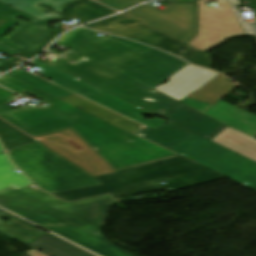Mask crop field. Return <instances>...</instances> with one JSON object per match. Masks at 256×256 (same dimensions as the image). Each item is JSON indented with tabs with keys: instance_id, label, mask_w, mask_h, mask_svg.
I'll list each match as a JSON object with an SVG mask.
<instances>
[{
	"instance_id": "ac0d7876",
	"label": "crop field",
	"mask_w": 256,
	"mask_h": 256,
	"mask_svg": "<svg viewBox=\"0 0 256 256\" xmlns=\"http://www.w3.org/2000/svg\"><path fill=\"white\" fill-rule=\"evenodd\" d=\"M115 200L105 195L65 203L30 186L0 192V206L37 223L102 256H132L112 245L99 231L108 207ZM85 248V249H86Z\"/></svg>"
},
{
	"instance_id": "f4fd0767",
	"label": "crop field",
	"mask_w": 256,
	"mask_h": 256,
	"mask_svg": "<svg viewBox=\"0 0 256 256\" xmlns=\"http://www.w3.org/2000/svg\"><path fill=\"white\" fill-rule=\"evenodd\" d=\"M61 58L50 62H43L53 66L71 76H74L94 87L106 91L114 96L126 100L134 105L146 109L154 114L162 113L172 109L178 102L167 98L159 93H153L150 88L109 69L71 49L62 53ZM85 57L89 60L81 61ZM79 62L77 65L68 61ZM156 99L157 102L146 100Z\"/></svg>"
},
{
	"instance_id": "1d83c4d3",
	"label": "crop field",
	"mask_w": 256,
	"mask_h": 256,
	"mask_svg": "<svg viewBox=\"0 0 256 256\" xmlns=\"http://www.w3.org/2000/svg\"><path fill=\"white\" fill-rule=\"evenodd\" d=\"M61 32H63V30H60V29H55L54 30V34L51 36V38L47 41V43L40 49V51L52 40V39H54L57 35H59ZM39 51V52H40ZM38 52V53H39ZM38 53H34V54H28V55H30V56H35V55H37Z\"/></svg>"
},
{
	"instance_id": "4177f3b9",
	"label": "crop field",
	"mask_w": 256,
	"mask_h": 256,
	"mask_svg": "<svg viewBox=\"0 0 256 256\" xmlns=\"http://www.w3.org/2000/svg\"><path fill=\"white\" fill-rule=\"evenodd\" d=\"M68 13L87 22L115 14L88 0L76 2L68 6Z\"/></svg>"
},
{
	"instance_id": "3316defc",
	"label": "crop field",
	"mask_w": 256,
	"mask_h": 256,
	"mask_svg": "<svg viewBox=\"0 0 256 256\" xmlns=\"http://www.w3.org/2000/svg\"><path fill=\"white\" fill-rule=\"evenodd\" d=\"M205 1H198L199 34L189 45L205 52L227 38L245 35L227 1L216 3L217 8L207 7Z\"/></svg>"
},
{
	"instance_id": "d3111659",
	"label": "crop field",
	"mask_w": 256,
	"mask_h": 256,
	"mask_svg": "<svg viewBox=\"0 0 256 256\" xmlns=\"http://www.w3.org/2000/svg\"><path fill=\"white\" fill-rule=\"evenodd\" d=\"M97 1L121 11L130 7H133L147 0H97Z\"/></svg>"
},
{
	"instance_id": "b80d0937",
	"label": "crop field",
	"mask_w": 256,
	"mask_h": 256,
	"mask_svg": "<svg viewBox=\"0 0 256 256\" xmlns=\"http://www.w3.org/2000/svg\"><path fill=\"white\" fill-rule=\"evenodd\" d=\"M148 100H152V99H148ZM153 101H155V100H153Z\"/></svg>"
},
{
	"instance_id": "5142ce71",
	"label": "crop field",
	"mask_w": 256,
	"mask_h": 256,
	"mask_svg": "<svg viewBox=\"0 0 256 256\" xmlns=\"http://www.w3.org/2000/svg\"><path fill=\"white\" fill-rule=\"evenodd\" d=\"M163 117L211 140L228 126L184 104H178Z\"/></svg>"
},
{
	"instance_id": "a9b5d70f",
	"label": "crop field",
	"mask_w": 256,
	"mask_h": 256,
	"mask_svg": "<svg viewBox=\"0 0 256 256\" xmlns=\"http://www.w3.org/2000/svg\"><path fill=\"white\" fill-rule=\"evenodd\" d=\"M14 170L16 168L5 153L0 154V191L10 186L18 189L32 184L22 173L17 174Z\"/></svg>"
},
{
	"instance_id": "750c4746",
	"label": "crop field",
	"mask_w": 256,
	"mask_h": 256,
	"mask_svg": "<svg viewBox=\"0 0 256 256\" xmlns=\"http://www.w3.org/2000/svg\"><path fill=\"white\" fill-rule=\"evenodd\" d=\"M14 24L15 23L0 16V38L5 35L7 28Z\"/></svg>"
},
{
	"instance_id": "d32e631a",
	"label": "crop field",
	"mask_w": 256,
	"mask_h": 256,
	"mask_svg": "<svg viewBox=\"0 0 256 256\" xmlns=\"http://www.w3.org/2000/svg\"><path fill=\"white\" fill-rule=\"evenodd\" d=\"M26 253H27L29 256H45V255H43V254H41V253H39V252H37V251H35V250L27 251Z\"/></svg>"
},
{
	"instance_id": "c035e120",
	"label": "crop field",
	"mask_w": 256,
	"mask_h": 256,
	"mask_svg": "<svg viewBox=\"0 0 256 256\" xmlns=\"http://www.w3.org/2000/svg\"><path fill=\"white\" fill-rule=\"evenodd\" d=\"M74 64H77V62H75Z\"/></svg>"
},
{
	"instance_id": "e52e79f7",
	"label": "crop field",
	"mask_w": 256,
	"mask_h": 256,
	"mask_svg": "<svg viewBox=\"0 0 256 256\" xmlns=\"http://www.w3.org/2000/svg\"><path fill=\"white\" fill-rule=\"evenodd\" d=\"M171 151L251 190L256 188V162L196 134Z\"/></svg>"
},
{
	"instance_id": "dd49c442",
	"label": "crop field",
	"mask_w": 256,
	"mask_h": 256,
	"mask_svg": "<svg viewBox=\"0 0 256 256\" xmlns=\"http://www.w3.org/2000/svg\"><path fill=\"white\" fill-rule=\"evenodd\" d=\"M8 154L20 170L50 193L100 184L38 143L8 151Z\"/></svg>"
},
{
	"instance_id": "22f410ed",
	"label": "crop field",
	"mask_w": 256,
	"mask_h": 256,
	"mask_svg": "<svg viewBox=\"0 0 256 256\" xmlns=\"http://www.w3.org/2000/svg\"><path fill=\"white\" fill-rule=\"evenodd\" d=\"M0 15L20 25L15 27L11 33L0 39L3 43L19 52L35 51L49 36L50 31L47 23L18 11L0 2ZM18 15L31 22L22 21L15 16Z\"/></svg>"
},
{
	"instance_id": "0bd39190",
	"label": "crop field",
	"mask_w": 256,
	"mask_h": 256,
	"mask_svg": "<svg viewBox=\"0 0 256 256\" xmlns=\"http://www.w3.org/2000/svg\"><path fill=\"white\" fill-rule=\"evenodd\" d=\"M81 60H87V59H85V58H82Z\"/></svg>"
},
{
	"instance_id": "92a150f3",
	"label": "crop field",
	"mask_w": 256,
	"mask_h": 256,
	"mask_svg": "<svg viewBox=\"0 0 256 256\" xmlns=\"http://www.w3.org/2000/svg\"><path fill=\"white\" fill-rule=\"evenodd\" d=\"M6 216L11 221L5 223L1 221V217ZM0 231L14 237L24 243H30L45 232L33 227L32 225L14 218L12 215L0 210Z\"/></svg>"
},
{
	"instance_id": "03da06ac",
	"label": "crop field",
	"mask_w": 256,
	"mask_h": 256,
	"mask_svg": "<svg viewBox=\"0 0 256 256\" xmlns=\"http://www.w3.org/2000/svg\"><path fill=\"white\" fill-rule=\"evenodd\" d=\"M254 190H256V189H254Z\"/></svg>"
},
{
	"instance_id": "d9b57169",
	"label": "crop field",
	"mask_w": 256,
	"mask_h": 256,
	"mask_svg": "<svg viewBox=\"0 0 256 256\" xmlns=\"http://www.w3.org/2000/svg\"><path fill=\"white\" fill-rule=\"evenodd\" d=\"M76 108H79L95 117L106 120L130 133L143 127L142 125L127 119L121 115H118L110 110H107L101 106H98L88 100H85L77 95L70 96L64 99H60Z\"/></svg>"
},
{
	"instance_id": "730fd06b",
	"label": "crop field",
	"mask_w": 256,
	"mask_h": 256,
	"mask_svg": "<svg viewBox=\"0 0 256 256\" xmlns=\"http://www.w3.org/2000/svg\"><path fill=\"white\" fill-rule=\"evenodd\" d=\"M0 139L6 150L35 142L25 134L0 120Z\"/></svg>"
},
{
	"instance_id": "120bbe31",
	"label": "crop field",
	"mask_w": 256,
	"mask_h": 256,
	"mask_svg": "<svg viewBox=\"0 0 256 256\" xmlns=\"http://www.w3.org/2000/svg\"><path fill=\"white\" fill-rule=\"evenodd\" d=\"M25 61H26V60H24V59H22V58H17L16 61H15L11 66H9V67H7V68L1 70L0 72L4 73V72H6L7 70H9V69H11V68H13V67H15V66H17V65H19V64H21V63H23V62H25Z\"/></svg>"
},
{
	"instance_id": "c21b1889",
	"label": "crop field",
	"mask_w": 256,
	"mask_h": 256,
	"mask_svg": "<svg viewBox=\"0 0 256 256\" xmlns=\"http://www.w3.org/2000/svg\"><path fill=\"white\" fill-rule=\"evenodd\" d=\"M153 92H156V91H154V90H152Z\"/></svg>"
},
{
	"instance_id": "b54c1fbb",
	"label": "crop field",
	"mask_w": 256,
	"mask_h": 256,
	"mask_svg": "<svg viewBox=\"0 0 256 256\" xmlns=\"http://www.w3.org/2000/svg\"><path fill=\"white\" fill-rule=\"evenodd\" d=\"M0 74H2V73H0Z\"/></svg>"
},
{
	"instance_id": "dafd665d",
	"label": "crop field",
	"mask_w": 256,
	"mask_h": 256,
	"mask_svg": "<svg viewBox=\"0 0 256 256\" xmlns=\"http://www.w3.org/2000/svg\"><path fill=\"white\" fill-rule=\"evenodd\" d=\"M226 77L219 75L196 93H192L188 98L200 100L214 104L230 93L237 84L225 80Z\"/></svg>"
},
{
	"instance_id": "00972430",
	"label": "crop field",
	"mask_w": 256,
	"mask_h": 256,
	"mask_svg": "<svg viewBox=\"0 0 256 256\" xmlns=\"http://www.w3.org/2000/svg\"><path fill=\"white\" fill-rule=\"evenodd\" d=\"M7 75L19 80V81H22L34 88H37L49 95H52L58 99L60 98H64V97H67V96H70V95H74L42 78H39L37 76H34L32 74H30L29 72L21 69V68H18L10 73H8Z\"/></svg>"
},
{
	"instance_id": "5d738f31",
	"label": "crop field",
	"mask_w": 256,
	"mask_h": 256,
	"mask_svg": "<svg viewBox=\"0 0 256 256\" xmlns=\"http://www.w3.org/2000/svg\"><path fill=\"white\" fill-rule=\"evenodd\" d=\"M256 138V137H255Z\"/></svg>"
},
{
	"instance_id": "28ad6ade",
	"label": "crop field",
	"mask_w": 256,
	"mask_h": 256,
	"mask_svg": "<svg viewBox=\"0 0 256 256\" xmlns=\"http://www.w3.org/2000/svg\"><path fill=\"white\" fill-rule=\"evenodd\" d=\"M94 177L115 170L91 149L71 128L34 137Z\"/></svg>"
},
{
	"instance_id": "e1f06a70",
	"label": "crop field",
	"mask_w": 256,
	"mask_h": 256,
	"mask_svg": "<svg viewBox=\"0 0 256 256\" xmlns=\"http://www.w3.org/2000/svg\"><path fill=\"white\" fill-rule=\"evenodd\" d=\"M0 152H3V149L1 148V146H0Z\"/></svg>"
},
{
	"instance_id": "412701ff",
	"label": "crop field",
	"mask_w": 256,
	"mask_h": 256,
	"mask_svg": "<svg viewBox=\"0 0 256 256\" xmlns=\"http://www.w3.org/2000/svg\"><path fill=\"white\" fill-rule=\"evenodd\" d=\"M224 178L182 157L97 177L99 186L55 193L66 201L111 193L117 200L122 196L143 193L160 188L179 189ZM160 182L166 184L161 185Z\"/></svg>"
},
{
	"instance_id": "bd1437ed",
	"label": "crop field",
	"mask_w": 256,
	"mask_h": 256,
	"mask_svg": "<svg viewBox=\"0 0 256 256\" xmlns=\"http://www.w3.org/2000/svg\"><path fill=\"white\" fill-rule=\"evenodd\" d=\"M0 52L6 53V54H9V55H13V54L19 53V52L15 51V50H13V49L3 45V44H0ZM3 66H5V64L2 63V59H0V67H3Z\"/></svg>"
},
{
	"instance_id": "8a807250",
	"label": "crop field",
	"mask_w": 256,
	"mask_h": 256,
	"mask_svg": "<svg viewBox=\"0 0 256 256\" xmlns=\"http://www.w3.org/2000/svg\"><path fill=\"white\" fill-rule=\"evenodd\" d=\"M0 85L50 104L15 110L7 105L15 101V94L0 87V117L31 137L71 127L91 148L97 147L95 151L116 171L177 156L7 75L0 78Z\"/></svg>"
},
{
	"instance_id": "bc2a9ffb",
	"label": "crop field",
	"mask_w": 256,
	"mask_h": 256,
	"mask_svg": "<svg viewBox=\"0 0 256 256\" xmlns=\"http://www.w3.org/2000/svg\"><path fill=\"white\" fill-rule=\"evenodd\" d=\"M212 141L256 161L255 138H251L228 127L218 136L212 139Z\"/></svg>"
},
{
	"instance_id": "d8731c3e",
	"label": "crop field",
	"mask_w": 256,
	"mask_h": 256,
	"mask_svg": "<svg viewBox=\"0 0 256 256\" xmlns=\"http://www.w3.org/2000/svg\"><path fill=\"white\" fill-rule=\"evenodd\" d=\"M168 3L171 7L164 12L143 5L121 15L187 43L196 35L195 5L170 1Z\"/></svg>"
},
{
	"instance_id": "028f5c9d",
	"label": "crop field",
	"mask_w": 256,
	"mask_h": 256,
	"mask_svg": "<svg viewBox=\"0 0 256 256\" xmlns=\"http://www.w3.org/2000/svg\"><path fill=\"white\" fill-rule=\"evenodd\" d=\"M91 1V0H90ZM93 2V1H92ZM95 3V2H94ZM97 4V3H96ZM99 5V4H98ZM101 6V5H100ZM108 9V8H107ZM109 10H111V9H109ZM111 11H113V10H111ZM113 12H115L116 13V11H113Z\"/></svg>"
},
{
	"instance_id": "733c2abd",
	"label": "crop field",
	"mask_w": 256,
	"mask_h": 256,
	"mask_svg": "<svg viewBox=\"0 0 256 256\" xmlns=\"http://www.w3.org/2000/svg\"><path fill=\"white\" fill-rule=\"evenodd\" d=\"M135 134H144L143 138L171 150L193 133L168 121L155 130L146 127Z\"/></svg>"
},
{
	"instance_id": "5a996713",
	"label": "crop field",
	"mask_w": 256,
	"mask_h": 256,
	"mask_svg": "<svg viewBox=\"0 0 256 256\" xmlns=\"http://www.w3.org/2000/svg\"><path fill=\"white\" fill-rule=\"evenodd\" d=\"M33 65L41 68L44 72V77L51 78L55 81V84H58L64 88H67L73 92H76L112 111H115L119 114H122L128 118H131L135 121H138L148 127L153 129L159 127L163 123L167 122L161 118L150 119L148 121L142 120V113L146 112L148 114L154 115L146 110H143L137 106H134L126 101H123L117 97H114L106 92H103L97 88H94L76 78H73L53 67L45 65L38 60H33ZM146 117V116H145ZM148 118V117H147Z\"/></svg>"
},
{
	"instance_id": "4a817a6b",
	"label": "crop field",
	"mask_w": 256,
	"mask_h": 256,
	"mask_svg": "<svg viewBox=\"0 0 256 256\" xmlns=\"http://www.w3.org/2000/svg\"><path fill=\"white\" fill-rule=\"evenodd\" d=\"M0 1L47 22V21L63 18L62 16L56 13L59 12L63 14L62 12L63 5L75 0H0ZM38 4L46 5L52 8L55 12H51L39 6ZM41 10H45L49 12L44 13Z\"/></svg>"
},
{
	"instance_id": "cbeb9de0",
	"label": "crop field",
	"mask_w": 256,
	"mask_h": 256,
	"mask_svg": "<svg viewBox=\"0 0 256 256\" xmlns=\"http://www.w3.org/2000/svg\"><path fill=\"white\" fill-rule=\"evenodd\" d=\"M181 102L247 135L253 137L256 134V116L224 100H219L214 105L188 98Z\"/></svg>"
},
{
	"instance_id": "eef30255",
	"label": "crop field",
	"mask_w": 256,
	"mask_h": 256,
	"mask_svg": "<svg viewBox=\"0 0 256 256\" xmlns=\"http://www.w3.org/2000/svg\"><path fill=\"white\" fill-rule=\"evenodd\" d=\"M230 7L232 8L233 12L235 13L236 17L238 18L240 24L242 25L245 33L247 36L255 35L256 36V22L254 23H247L245 21V18L241 14L240 11H238L237 5L240 3L239 0H227Z\"/></svg>"
},
{
	"instance_id": "ae1a2a85",
	"label": "crop field",
	"mask_w": 256,
	"mask_h": 256,
	"mask_svg": "<svg viewBox=\"0 0 256 256\" xmlns=\"http://www.w3.org/2000/svg\"><path fill=\"white\" fill-rule=\"evenodd\" d=\"M184 60L199 66L209 68V69L212 66L209 55L193 48H191L188 56Z\"/></svg>"
},
{
	"instance_id": "d1516ede",
	"label": "crop field",
	"mask_w": 256,
	"mask_h": 256,
	"mask_svg": "<svg viewBox=\"0 0 256 256\" xmlns=\"http://www.w3.org/2000/svg\"><path fill=\"white\" fill-rule=\"evenodd\" d=\"M88 27L130 38L173 53L181 58L184 55L178 53V51L189 47L185 43L179 42L121 15L98 21L88 25Z\"/></svg>"
},
{
	"instance_id": "214f88e0",
	"label": "crop field",
	"mask_w": 256,
	"mask_h": 256,
	"mask_svg": "<svg viewBox=\"0 0 256 256\" xmlns=\"http://www.w3.org/2000/svg\"><path fill=\"white\" fill-rule=\"evenodd\" d=\"M30 246L50 256H95L50 233Z\"/></svg>"
},
{
	"instance_id": "5866460e",
	"label": "crop field",
	"mask_w": 256,
	"mask_h": 256,
	"mask_svg": "<svg viewBox=\"0 0 256 256\" xmlns=\"http://www.w3.org/2000/svg\"><path fill=\"white\" fill-rule=\"evenodd\" d=\"M22 57H25V58H28V59H30V58H32V57H29V56H27V55H25V54H23V55H21Z\"/></svg>"
},
{
	"instance_id": "34b2d1b8",
	"label": "crop field",
	"mask_w": 256,
	"mask_h": 256,
	"mask_svg": "<svg viewBox=\"0 0 256 256\" xmlns=\"http://www.w3.org/2000/svg\"><path fill=\"white\" fill-rule=\"evenodd\" d=\"M98 33L80 27L56 42L150 88L187 64L151 47L112 35L99 37Z\"/></svg>"
}]
</instances>
